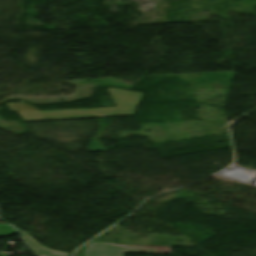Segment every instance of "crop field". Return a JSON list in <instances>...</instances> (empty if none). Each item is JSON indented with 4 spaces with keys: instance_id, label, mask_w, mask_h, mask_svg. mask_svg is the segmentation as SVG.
I'll list each match as a JSON object with an SVG mask.
<instances>
[{
    "instance_id": "obj_1",
    "label": "crop field",
    "mask_w": 256,
    "mask_h": 256,
    "mask_svg": "<svg viewBox=\"0 0 256 256\" xmlns=\"http://www.w3.org/2000/svg\"><path fill=\"white\" fill-rule=\"evenodd\" d=\"M123 253L169 254L170 247H124L113 243H92L84 248V256H123Z\"/></svg>"
},
{
    "instance_id": "obj_2",
    "label": "crop field",
    "mask_w": 256,
    "mask_h": 256,
    "mask_svg": "<svg viewBox=\"0 0 256 256\" xmlns=\"http://www.w3.org/2000/svg\"><path fill=\"white\" fill-rule=\"evenodd\" d=\"M19 233L24 238L26 244L34 251L38 256H69V254H63L59 252H54L41 245H39L34 239H32L27 233L19 231Z\"/></svg>"
},
{
    "instance_id": "obj_3",
    "label": "crop field",
    "mask_w": 256,
    "mask_h": 256,
    "mask_svg": "<svg viewBox=\"0 0 256 256\" xmlns=\"http://www.w3.org/2000/svg\"><path fill=\"white\" fill-rule=\"evenodd\" d=\"M15 233L16 231L13 227L9 225H0V236H11Z\"/></svg>"
}]
</instances>
